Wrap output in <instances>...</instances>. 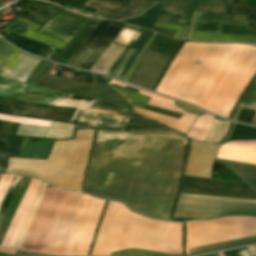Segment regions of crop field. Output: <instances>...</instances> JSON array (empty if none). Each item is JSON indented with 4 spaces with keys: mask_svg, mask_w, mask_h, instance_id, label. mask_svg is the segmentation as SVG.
<instances>
[{
    "mask_svg": "<svg viewBox=\"0 0 256 256\" xmlns=\"http://www.w3.org/2000/svg\"><path fill=\"white\" fill-rule=\"evenodd\" d=\"M231 123L215 119L205 142H220L225 137Z\"/></svg>",
    "mask_w": 256,
    "mask_h": 256,
    "instance_id": "obj_27",
    "label": "crop field"
},
{
    "mask_svg": "<svg viewBox=\"0 0 256 256\" xmlns=\"http://www.w3.org/2000/svg\"><path fill=\"white\" fill-rule=\"evenodd\" d=\"M182 198L256 204V201L188 195V194H183ZM202 200L181 199V194H180L173 217H182V218H189V219H209V218H215L223 215H233V214L256 215V205H245V204L202 201Z\"/></svg>",
    "mask_w": 256,
    "mask_h": 256,
    "instance_id": "obj_7",
    "label": "crop field"
},
{
    "mask_svg": "<svg viewBox=\"0 0 256 256\" xmlns=\"http://www.w3.org/2000/svg\"><path fill=\"white\" fill-rule=\"evenodd\" d=\"M19 256H49V255L19 252Z\"/></svg>",
    "mask_w": 256,
    "mask_h": 256,
    "instance_id": "obj_45",
    "label": "crop field"
},
{
    "mask_svg": "<svg viewBox=\"0 0 256 256\" xmlns=\"http://www.w3.org/2000/svg\"><path fill=\"white\" fill-rule=\"evenodd\" d=\"M256 235V218L232 217L189 222L188 248ZM256 242V236L188 249L190 255Z\"/></svg>",
    "mask_w": 256,
    "mask_h": 256,
    "instance_id": "obj_6",
    "label": "crop field"
},
{
    "mask_svg": "<svg viewBox=\"0 0 256 256\" xmlns=\"http://www.w3.org/2000/svg\"><path fill=\"white\" fill-rule=\"evenodd\" d=\"M39 32L49 35L51 37H54L56 39H59L61 41H64L66 43H68L70 39L73 37V35L66 33L62 30H59L55 27H52L48 24H45Z\"/></svg>",
    "mask_w": 256,
    "mask_h": 256,
    "instance_id": "obj_30",
    "label": "crop field"
},
{
    "mask_svg": "<svg viewBox=\"0 0 256 256\" xmlns=\"http://www.w3.org/2000/svg\"><path fill=\"white\" fill-rule=\"evenodd\" d=\"M113 89L117 93H119L122 97H124L128 101V103L132 106H136L144 109L148 101V98L138 95L136 93H132V92L116 89V88H113Z\"/></svg>",
    "mask_w": 256,
    "mask_h": 256,
    "instance_id": "obj_29",
    "label": "crop field"
},
{
    "mask_svg": "<svg viewBox=\"0 0 256 256\" xmlns=\"http://www.w3.org/2000/svg\"><path fill=\"white\" fill-rule=\"evenodd\" d=\"M0 120H6L16 123H25V124H32V125H39V126H46L49 127L51 122L45 120H38V119H28V118H20L10 115L0 114Z\"/></svg>",
    "mask_w": 256,
    "mask_h": 256,
    "instance_id": "obj_31",
    "label": "crop field"
},
{
    "mask_svg": "<svg viewBox=\"0 0 256 256\" xmlns=\"http://www.w3.org/2000/svg\"><path fill=\"white\" fill-rule=\"evenodd\" d=\"M156 36V33L153 32L152 37L149 38V40L147 41V43L144 45V47L142 48V50L140 51V53L137 55V57L135 58L134 62L132 63V65L130 66L129 70L126 72V74L123 76L122 80L127 81L129 79V77L131 76V74L133 73V71L135 70L139 60L141 59L142 55L145 52V49L148 47V45L150 44V42L152 41V39Z\"/></svg>",
    "mask_w": 256,
    "mask_h": 256,
    "instance_id": "obj_36",
    "label": "crop field"
},
{
    "mask_svg": "<svg viewBox=\"0 0 256 256\" xmlns=\"http://www.w3.org/2000/svg\"><path fill=\"white\" fill-rule=\"evenodd\" d=\"M93 77H94L96 83L109 85V84H107V83L109 82L110 78L103 77V76H99V75H95V74H93ZM109 83H110V84H114V85H118V86H122V87H124V86L126 85V84L120 83V82H118V81H115V80H113V79H111ZM111 86H113V85H111ZM127 86H129V85H127ZM127 86H125L123 89L131 90V91H135V92H137V90H138V88L129 86V87H132V88L137 89V90H135V89L129 88V87H127ZM115 87H117V86H115ZM119 88H121V87H119Z\"/></svg>",
    "mask_w": 256,
    "mask_h": 256,
    "instance_id": "obj_38",
    "label": "crop field"
},
{
    "mask_svg": "<svg viewBox=\"0 0 256 256\" xmlns=\"http://www.w3.org/2000/svg\"><path fill=\"white\" fill-rule=\"evenodd\" d=\"M106 201L83 194L64 256H87Z\"/></svg>",
    "mask_w": 256,
    "mask_h": 256,
    "instance_id": "obj_8",
    "label": "crop field"
},
{
    "mask_svg": "<svg viewBox=\"0 0 256 256\" xmlns=\"http://www.w3.org/2000/svg\"><path fill=\"white\" fill-rule=\"evenodd\" d=\"M14 175H1L0 176V205L2 203V200L6 194V191L8 189V186L12 180Z\"/></svg>",
    "mask_w": 256,
    "mask_h": 256,
    "instance_id": "obj_39",
    "label": "crop field"
},
{
    "mask_svg": "<svg viewBox=\"0 0 256 256\" xmlns=\"http://www.w3.org/2000/svg\"><path fill=\"white\" fill-rule=\"evenodd\" d=\"M5 164H6V162L0 160V174L3 173V171L5 169Z\"/></svg>",
    "mask_w": 256,
    "mask_h": 256,
    "instance_id": "obj_46",
    "label": "crop field"
},
{
    "mask_svg": "<svg viewBox=\"0 0 256 256\" xmlns=\"http://www.w3.org/2000/svg\"><path fill=\"white\" fill-rule=\"evenodd\" d=\"M138 93L151 98L148 105L165 108L169 111L181 113L183 115L181 116V118L179 120H177V119H173V118H170L167 116L150 113V112L144 111L142 109H137V108L132 107L135 111H137V112H139V113H141L159 123L167 125L171 128H174V129L186 134V132H187L188 128L190 127L192 121L194 120L195 116H192V115L186 113L185 111H183L182 109L178 108L177 106L173 105L174 101H172V100H169L167 98L160 97V96H157V95H154L152 93H148V92H145L142 90L138 91Z\"/></svg>",
    "mask_w": 256,
    "mask_h": 256,
    "instance_id": "obj_12",
    "label": "crop field"
},
{
    "mask_svg": "<svg viewBox=\"0 0 256 256\" xmlns=\"http://www.w3.org/2000/svg\"><path fill=\"white\" fill-rule=\"evenodd\" d=\"M132 52H133V49H130L129 52L126 54V56L123 58V60L120 62V64L117 67V69L112 74L113 77H116V75L119 73V71L121 70L123 65L126 63V61L128 60V58H129V56L131 55Z\"/></svg>",
    "mask_w": 256,
    "mask_h": 256,
    "instance_id": "obj_43",
    "label": "crop field"
},
{
    "mask_svg": "<svg viewBox=\"0 0 256 256\" xmlns=\"http://www.w3.org/2000/svg\"><path fill=\"white\" fill-rule=\"evenodd\" d=\"M48 23L75 35L85 26L94 28L99 21L89 20L65 10L48 21Z\"/></svg>",
    "mask_w": 256,
    "mask_h": 256,
    "instance_id": "obj_22",
    "label": "crop field"
},
{
    "mask_svg": "<svg viewBox=\"0 0 256 256\" xmlns=\"http://www.w3.org/2000/svg\"><path fill=\"white\" fill-rule=\"evenodd\" d=\"M156 26H160V27H164V28H168V29H173L176 30L175 35L173 38H177V39H186V35L188 32V28L189 27H183V26H175V25H169V24H164V23H155Z\"/></svg>",
    "mask_w": 256,
    "mask_h": 256,
    "instance_id": "obj_35",
    "label": "crop field"
},
{
    "mask_svg": "<svg viewBox=\"0 0 256 256\" xmlns=\"http://www.w3.org/2000/svg\"><path fill=\"white\" fill-rule=\"evenodd\" d=\"M26 86L27 85L19 82L0 78V95L10 99L26 100L43 104H47L64 95L63 93L54 90L30 85L27 91L24 92Z\"/></svg>",
    "mask_w": 256,
    "mask_h": 256,
    "instance_id": "obj_13",
    "label": "crop field"
},
{
    "mask_svg": "<svg viewBox=\"0 0 256 256\" xmlns=\"http://www.w3.org/2000/svg\"><path fill=\"white\" fill-rule=\"evenodd\" d=\"M61 99L93 103L91 109L109 112V114L105 112L89 110L91 106V104L89 103H82V102H75V101H68V100H61ZM61 99H57L49 103V105L75 107L77 108V110H81V111H87V112H93V113H99V114H105V115L108 114V116H104V115L78 111L74 120L71 121L69 124L72 126L90 128V129L117 130V131H133V130H139V129L173 131L143 116L136 114L134 111H132L129 108H125V107L117 106L107 102H102V101L85 98L77 95H71V94H67L61 97Z\"/></svg>",
    "mask_w": 256,
    "mask_h": 256,
    "instance_id": "obj_5",
    "label": "crop field"
},
{
    "mask_svg": "<svg viewBox=\"0 0 256 256\" xmlns=\"http://www.w3.org/2000/svg\"><path fill=\"white\" fill-rule=\"evenodd\" d=\"M126 26L134 28V29H138V30L140 29V27H136V26H132V25H128V24ZM134 34H135L134 31L124 29L123 32L119 36L117 35L118 37L114 41L126 45ZM112 42L105 49V51L101 54V56L98 58V60L95 62V64L92 66V68L90 69L91 71H95V72L105 74L107 72V70L110 68V66L113 64V62L117 59V57L125 49V47L119 46V45L114 44Z\"/></svg>",
    "mask_w": 256,
    "mask_h": 256,
    "instance_id": "obj_19",
    "label": "crop field"
},
{
    "mask_svg": "<svg viewBox=\"0 0 256 256\" xmlns=\"http://www.w3.org/2000/svg\"><path fill=\"white\" fill-rule=\"evenodd\" d=\"M73 128L66 124L55 122L52 123L50 128L20 124L16 135L33 137H45L47 135L50 138L63 139L71 137Z\"/></svg>",
    "mask_w": 256,
    "mask_h": 256,
    "instance_id": "obj_21",
    "label": "crop field"
},
{
    "mask_svg": "<svg viewBox=\"0 0 256 256\" xmlns=\"http://www.w3.org/2000/svg\"><path fill=\"white\" fill-rule=\"evenodd\" d=\"M21 178H22L21 175H15L14 176V178H13V180L11 182V185H10V187L8 189V192H7V194H6L5 198H4V201L2 200L3 203H2V205L0 207V221H1V218H2L6 208L8 206V203H9L12 195L14 194V192H15V190H16V188H17V186H18V184H19V182L21 180Z\"/></svg>",
    "mask_w": 256,
    "mask_h": 256,
    "instance_id": "obj_32",
    "label": "crop field"
},
{
    "mask_svg": "<svg viewBox=\"0 0 256 256\" xmlns=\"http://www.w3.org/2000/svg\"><path fill=\"white\" fill-rule=\"evenodd\" d=\"M219 254V256H223V253L222 252H220V253H218Z\"/></svg>",
    "mask_w": 256,
    "mask_h": 256,
    "instance_id": "obj_47",
    "label": "crop field"
},
{
    "mask_svg": "<svg viewBox=\"0 0 256 256\" xmlns=\"http://www.w3.org/2000/svg\"><path fill=\"white\" fill-rule=\"evenodd\" d=\"M216 158L256 164V141H231L223 144Z\"/></svg>",
    "mask_w": 256,
    "mask_h": 256,
    "instance_id": "obj_18",
    "label": "crop field"
},
{
    "mask_svg": "<svg viewBox=\"0 0 256 256\" xmlns=\"http://www.w3.org/2000/svg\"><path fill=\"white\" fill-rule=\"evenodd\" d=\"M64 192L48 184L20 250L39 252Z\"/></svg>",
    "mask_w": 256,
    "mask_h": 256,
    "instance_id": "obj_9",
    "label": "crop field"
},
{
    "mask_svg": "<svg viewBox=\"0 0 256 256\" xmlns=\"http://www.w3.org/2000/svg\"><path fill=\"white\" fill-rule=\"evenodd\" d=\"M3 38L12 45L16 46L17 48L25 52L31 53L33 55L39 56L50 61H52L60 51V49L50 47L10 33Z\"/></svg>",
    "mask_w": 256,
    "mask_h": 256,
    "instance_id": "obj_20",
    "label": "crop field"
},
{
    "mask_svg": "<svg viewBox=\"0 0 256 256\" xmlns=\"http://www.w3.org/2000/svg\"><path fill=\"white\" fill-rule=\"evenodd\" d=\"M213 256H218L217 254L213 255Z\"/></svg>",
    "mask_w": 256,
    "mask_h": 256,
    "instance_id": "obj_48",
    "label": "crop field"
},
{
    "mask_svg": "<svg viewBox=\"0 0 256 256\" xmlns=\"http://www.w3.org/2000/svg\"><path fill=\"white\" fill-rule=\"evenodd\" d=\"M239 106L256 110V80L239 103ZM251 125L256 126V114L251 122Z\"/></svg>",
    "mask_w": 256,
    "mask_h": 256,
    "instance_id": "obj_28",
    "label": "crop field"
},
{
    "mask_svg": "<svg viewBox=\"0 0 256 256\" xmlns=\"http://www.w3.org/2000/svg\"><path fill=\"white\" fill-rule=\"evenodd\" d=\"M175 133L98 131L84 192L168 220L187 142Z\"/></svg>",
    "mask_w": 256,
    "mask_h": 256,
    "instance_id": "obj_1",
    "label": "crop field"
},
{
    "mask_svg": "<svg viewBox=\"0 0 256 256\" xmlns=\"http://www.w3.org/2000/svg\"><path fill=\"white\" fill-rule=\"evenodd\" d=\"M213 119V117L205 115L198 117L192 124L188 132V137L195 140L203 141Z\"/></svg>",
    "mask_w": 256,
    "mask_h": 256,
    "instance_id": "obj_25",
    "label": "crop field"
},
{
    "mask_svg": "<svg viewBox=\"0 0 256 256\" xmlns=\"http://www.w3.org/2000/svg\"><path fill=\"white\" fill-rule=\"evenodd\" d=\"M0 113L12 115L11 106L0 104Z\"/></svg>",
    "mask_w": 256,
    "mask_h": 256,
    "instance_id": "obj_44",
    "label": "crop field"
},
{
    "mask_svg": "<svg viewBox=\"0 0 256 256\" xmlns=\"http://www.w3.org/2000/svg\"><path fill=\"white\" fill-rule=\"evenodd\" d=\"M64 193H65V192H64ZM68 193H69V192L66 191V193H65V195H64V197H63V200H62V202H61V204H60V206H59V209H58V211H57V213H56V215H55V218H54V220H53V222H52V224H51V226H50V229H49L48 234H47V236H46V238H45V241H44V243H43V246H42V248H41V250H40L39 253H44V252H45V249H46V247H47L48 241H49V239H50V237H51V235H52V232H53V230H54V228H55V226H56L57 220H58V218H59L60 212H61V210H62L63 204H64V202H65V200H66V197H67Z\"/></svg>",
    "mask_w": 256,
    "mask_h": 256,
    "instance_id": "obj_33",
    "label": "crop field"
},
{
    "mask_svg": "<svg viewBox=\"0 0 256 256\" xmlns=\"http://www.w3.org/2000/svg\"><path fill=\"white\" fill-rule=\"evenodd\" d=\"M122 249L183 254L182 224L142 218L109 201L90 256H110Z\"/></svg>",
    "mask_w": 256,
    "mask_h": 256,
    "instance_id": "obj_3",
    "label": "crop field"
},
{
    "mask_svg": "<svg viewBox=\"0 0 256 256\" xmlns=\"http://www.w3.org/2000/svg\"><path fill=\"white\" fill-rule=\"evenodd\" d=\"M142 30H143V28H141L140 32H142ZM140 32H138V34L135 36L134 40H136V38L139 36ZM134 40H132V42L127 46V48L124 50V52L119 56V58L116 60V62L110 68V70L107 72V75L111 76V74L113 73V71L115 70V68L117 67V65L121 61V59L123 58V56L126 54L128 49L131 48V46L134 44V42H135Z\"/></svg>",
    "mask_w": 256,
    "mask_h": 256,
    "instance_id": "obj_40",
    "label": "crop field"
},
{
    "mask_svg": "<svg viewBox=\"0 0 256 256\" xmlns=\"http://www.w3.org/2000/svg\"><path fill=\"white\" fill-rule=\"evenodd\" d=\"M223 253H224V256H244V255L249 256L246 248L232 250V251H226ZM250 256H256V253H252V254H250Z\"/></svg>",
    "mask_w": 256,
    "mask_h": 256,
    "instance_id": "obj_41",
    "label": "crop field"
},
{
    "mask_svg": "<svg viewBox=\"0 0 256 256\" xmlns=\"http://www.w3.org/2000/svg\"><path fill=\"white\" fill-rule=\"evenodd\" d=\"M152 31H148V33L145 35V37L143 38V40L140 42V44L138 45V47L135 49V51L133 52V54L131 55V60L125 64V66L123 67V69L120 71V73L117 75V78H120L124 75V73L126 72V70L129 68V66L131 65L133 59L135 58V56L138 54V52L141 50V48L143 47V45L146 43V41L148 40V38L150 37Z\"/></svg>",
    "mask_w": 256,
    "mask_h": 256,
    "instance_id": "obj_37",
    "label": "crop field"
},
{
    "mask_svg": "<svg viewBox=\"0 0 256 256\" xmlns=\"http://www.w3.org/2000/svg\"><path fill=\"white\" fill-rule=\"evenodd\" d=\"M221 23L249 25L246 16L194 12L190 30L221 32Z\"/></svg>",
    "mask_w": 256,
    "mask_h": 256,
    "instance_id": "obj_16",
    "label": "crop field"
},
{
    "mask_svg": "<svg viewBox=\"0 0 256 256\" xmlns=\"http://www.w3.org/2000/svg\"><path fill=\"white\" fill-rule=\"evenodd\" d=\"M94 133L79 130L75 140L56 141L47 160L9 158L5 173H21L81 192Z\"/></svg>",
    "mask_w": 256,
    "mask_h": 256,
    "instance_id": "obj_4",
    "label": "crop field"
},
{
    "mask_svg": "<svg viewBox=\"0 0 256 256\" xmlns=\"http://www.w3.org/2000/svg\"><path fill=\"white\" fill-rule=\"evenodd\" d=\"M46 186H47V183H43V182L41 183L40 188H39V190L37 192V195L35 197V200H34L32 206H31V209H30V211L28 213V216H27V218H26V220L24 222V225H23V227H22V229H21V231L19 233V236H18V238H17V240L15 242L14 248H18L19 249V247H20V245L22 243V240H23V238L25 236V233H26V231H27V229L29 227V224H30V222H31V220H32V218L34 216V213L36 211V208L38 206V203L40 201V198H41V196H42Z\"/></svg>",
    "mask_w": 256,
    "mask_h": 256,
    "instance_id": "obj_26",
    "label": "crop field"
},
{
    "mask_svg": "<svg viewBox=\"0 0 256 256\" xmlns=\"http://www.w3.org/2000/svg\"><path fill=\"white\" fill-rule=\"evenodd\" d=\"M22 54L0 41V77L6 78ZM39 62L40 59L23 54L7 78L25 83Z\"/></svg>",
    "mask_w": 256,
    "mask_h": 256,
    "instance_id": "obj_11",
    "label": "crop field"
},
{
    "mask_svg": "<svg viewBox=\"0 0 256 256\" xmlns=\"http://www.w3.org/2000/svg\"><path fill=\"white\" fill-rule=\"evenodd\" d=\"M112 256H177V255H166L161 253H150L146 251L136 250H123L112 254Z\"/></svg>",
    "mask_w": 256,
    "mask_h": 256,
    "instance_id": "obj_34",
    "label": "crop field"
},
{
    "mask_svg": "<svg viewBox=\"0 0 256 256\" xmlns=\"http://www.w3.org/2000/svg\"><path fill=\"white\" fill-rule=\"evenodd\" d=\"M175 105L179 106L180 108L184 109L186 112L191 113V114H195V115H199L201 113H204L196 108L181 104L176 102Z\"/></svg>",
    "mask_w": 256,
    "mask_h": 256,
    "instance_id": "obj_42",
    "label": "crop field"
},
{
    "mask_svg": "<svg viewBox=\"0 0 256 256\" xmlns=\"http://www.w3.org/2000/svg\"><path fill=\"white\" fill-rule=\"evenodd\" d=\"M188 40L217 41V42H242L256 45V37L245 35L218 34L190 31Z\"/></svg>",
    "mask_w": 256,
    "mask_h": 256,
    "instance_id": "obj_23",
    "label": "crop field"
},
{
    "mask_svg": "<svg viewBox=\"0 0 256 256\" xmlns=\"http://www.w3.org/2000/svg\"><path fill=\"white\" fill-rule=\"evenodd\" d=\"M205 256H212V255H205Z\"/></svg>",
    "mask_w": 256,
    "mask_h": 256,
    "instance_id": "obj_49",
    "label": "crop field"
},
{
    "mask_svg": "<svg viewBox=\"0 0 256 256\" xmlns=\"http://www.w3.org/2000/svg\"><path fill=\"white\" fill-rule=\"evenodd\" d=\"M108 23H109L108 21H103L92 32V34L84 41V43L80 46V48L74 53V55L68 61L67 65L83 68L87 70L90 69V67L99 57V55L104 51V49L109 45V43L115 38V36L121 31L123 27L120 25H116L117 22H111L109 25ZM119 24H122V23H119ZM106 25H108L107 28L103 32H101ZM87 44L94 47L95 50L89 47H86L85 50L82 52L83 48Z\"/></svg>",
    "mask_w": 256,
    "mask_h": 256,
    "instance_id": "obj_10",
    "label": "crop field"
},
{
    "mask_svg": "<svg viewBox=\"0 0 256 256\" xmlns=\"http://www.w3.org/2000/svg\"><path fill=\"white\" fill-rule=\"evenodd\" d=\"M17 19H19L22 22L28 24V30L26 32H24L23 34H18V35L27 37L29 39H32V40H35V41H38V42H41V43H44V44H47V45L54 46V47H57V48H60V49H62L66 45L63 42H60L58 40H55L53 38H50V37L45 36L43 34H40L38 32H35V31L40 29L39 26H37L35 24H32V23H30V22H28L26 20H23V19H21L19 17H17Z\"/></svg>",
    "mask_w": 256,
    "mask_h": 256,
    "instance_id": "obj_24",
    "label": "crop field"
},
{
    "mask_svg": "<svg viewBox=\"0 0 256 256\" xmlns=\"http://www.w3.org/2000/svg\"><path fill=\"white\" fill-rule=\"evenodd\" d=\"M40 181L32 180L7 232L6 235L2 241L3 246L11 247L13 248L14 242L16 240V237L19 233V230L25 220V217L29 211V208L33 202V199L36 195V192L38 190V187L40 185Z\"/></svg>",
    "mask_w": 256,
    "mask_h": 256,
    "instance_id": "obj_17",
    "label": "crop field"
},
{
    "mask_svg": "<svg viewBox=\"0 0 256 256\" xmlns=\"http://www.w3.org/2000/svg\"><path fill=\"white\" fill-rule=\"evenodd\" d=\"M218 146L191 140L184 175L210 178L212 161Z\"/></svg>",
    "mask_w": 256,
    "mask_h": 256,
    "instance_id": "obj_14",
    "label": "crop field"
},
{
    "mask_svg": "<svg viewBox=\"0 0 256 256\" xmlns=\"http://www.w3.org/2000/svg\"><path fill=\"white\" fill-rule=\"evenodd\" d=\"M255 72L256 47L185 42L156 92L228 118Z\"/></svg>",
    "mask_w": 256,
    "mask_h": 256,
    "instance_id": "obj_2",
    "label": "crop field"
},
{
    "mask_svg": "<svg viewBox=\"0 0 256 256\" xmlns=\"http://www.w3.org/2000/svg\"><path fill=\"white\" fill-rule=\"evenodd\" d=\"M156 3L152 0H131L127 5L104 1L89 0L86 6L98 9L95 14L121 19L141 13L146 7Z\"/></svg>",
    "mask_w": 256,
    "mask_h": 256,
    "instance_id": "obj_15",
    "label": "crop field"
}]
</instances>
